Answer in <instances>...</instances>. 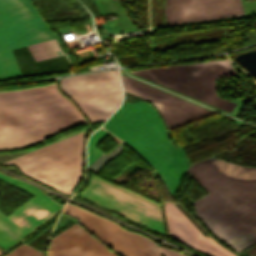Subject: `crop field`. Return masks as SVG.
Returning <instances> with one entry per match:
<instances>
[{"mask_svg":"<svg viewBox=\"0 0 256 256\" xmlns=\"http://www.w3.org/2000/svg\"><path fill=\"white\" fill-rule=\"evenodd\" d=\"M212 161L225 175L256 179V168H244L215 157ZM211 162H196L188 171L210 193L193 202L196 214L213 234L234 250L256 242V180H236L223 175Z\"/></svg>","mask_w":256,"mask_h":256,"instance_id":"8a807250","label":"crop field"},{"mask_svg":"<svg viewBox=\"0 0 256 256\" xmlns=\"http://www.w3.org/2000/svg\"><path fill=\"white\" fill-rule=\"evenodd\" d=\"M55 85L0 92V151L31 146L85 123Z\"/></svg>","mask_w":256,"mask_h":256,"instance_id":"ac0d7876","label":"crop field"},{"mask_svg":"<svg viewBox=\"0 0 256 256\" xmlns=\"http://www.w3.org/2000/svg\"><path fill=\"white\" fill-rule=\"evenodd\" d=\"M104 125L154 166L173 195L187 164L167 138L155 110L145 101L133 104L124 101Z\"/></svg>","mask_w":256,"mask_h":256,"instance_id":"34b2d1b8","label":"crop field"},{"mask_svg":"<svg viewBox=\"0 0 256 256\" xmlns=\"http://www.w3.org/2000/svg\"><path fill=\"white\" fill-rule=\"evenodd\" d=\"M84 139L81 132L2 164H12L23 174L70 194L81 177Z\"/></svg>","mask_w":256,"mask_h":256,"instance_id":"412701ff","label":"crop field"},{"mask_svg":"<svg viewBox=\"0 0 256 256\" xmlns=\"http://www.w3.org/2000/svg\"><path fill=\"white\" fill-rule=\"evenodd\" d=\"M55 40L26 0H0V52ZM21 74L14 51L0 53V76ZM17 76L0 79L18 78Z\"/></svg>","mask_w":256,"mask_h":256,"instance_id":"f4fd0767","label":"crop field"},{"mask_svg":"<svg viewBox=\"0 0 256 256\" xmlns=\"http://www.w3.org/2000/svg\"><path fill=\"white\" fill-rule=\"evenodd\" d=\"M231 66L228 60H216L130 72L230 112L235 103L218 98L214 79L236 74Z\"/></svg>","mask_w":256,"mask_h":256,"instance_id":"dd49c442","label":"crop field"},{"mask_svg":"<svg viewBox=\"0 0 256 256\" xmlns=\"http://www.w3.org/2000/svg\"><path fill=\"white\" fill-rule=\"evenodd\" d=\"M60 85L91 123L106 120L122 101L118 70L62 79Z\"/></svg>","mask_w":256,"mask_h":256,"instance_id":"e52e79f7","label":"crop field"},{"mask_svg":"<svg viewBox=\"0 0 256 256\" xmlns=\"http://www.w3.org/2000/svg\"><path fill=\"white\" fill-rule=\"evenodd\" d=\"M137 223L164 232L160 205L95 176L79 195Z\"/></svg>","mask_w":256,"mask_h":256,"instance_id":"d8731c3e","label":"crop field"},{"mask_svg":"<svg viewBox=\"0 0 256 256\" xmlns=\"http://www.w3.org/2000/svg\"><path fill=\"white\" fill-rule=\"evenodd\" d=\"M0 179L35 196L8 217L0 213V246L7 250L61 206L36 187L2 174Z\"/></svg>","mask_w":256,"mask_h":256,"instance_id":"5a996713","label":"crop field"},{"mask_svg":"<svg viewBox=\"0 0 256 256\" xmlns=\"http://www.w3.org/2000/svg\"><path fill=\"white\" fill-rule=\"evenodd\" d=\"M64 211L78 218L81 224L122 256H159L157 246L144 237L124 231L70 205H66Z\"/></svg>","mask_w":256,"mask_h":256,"instance_id":"3316defc","label":"crop field"},{"mask_svg":"<svg viewBox=\"0 0 256 256\" xmlns=\"http://www.w3.org/2000/svg\"><path fill=\"white\" fill-rule=\"evenodd\" d=\"M121 77L124 90L150 100L161 112L169 129L215 114L122 75Z\"/></svg>","mask_w":256,"mask_h":256,"instance_id":"28ad6ade","label":"crop field"},{"mask_svg":"<svg viewBox=\"0 0 256 256\" xmlns=\"http://www.w3.org/2000/svg\"><path fill=\"white\" fill-rule=\"evenodd\" d=\"M240 15V0H166V24Z\"/></svg>","mask_w":256,"mask_h":256,"instance_id":"d1516ede","label":"crop field"},{"mask_svg":"<svg viewBox=\"0 0 256 256\" xmlns=\"http://www.w3.org/2000/svg\"><path fill=\"white\" fill-rule=\"evenodd\" d=\"M164 208L171 237L208 256H235L211 238L204 237L175 205L165 203Z\"/></svg>","mask_w":256,"mask_h":256,"instance_id":"22f410ed","label":"crop field"},{"mask_svg":"<svg viewBox=\"0 0 256 256\" xmlns=\"http://www.w3.org/2000/svg\"><path fill=\"white\" fill-rule=\"evenodd\" d=\"M47 256H116L76 223L53 236Z\"/></svg>","mask_w":256,"mask_h":256,"instance_id":"cbeb9de0","label":"crop field"},{"mask_svg":"<svg viewBox=\"0 0 256 256\" xmlns=\"http://www.w3.org/2000/svg\"><path fill=\"white\" fill-rule=\"evenodd\" d=\"M107 133L104 130L96 131L89 140L88 143V169L94 172H98L102 167L110 160L114 159L119 153L124 150L123 144L120 141L119 145L115 149H111L107 154L96 149V146L101 142L102 139L106 138Z\"/></svg>","mask_w":256,"mask_h":256,"instance_id":"5142ce71","label":"crop field"},{"mask_svg":"<svg viewBox=\"0 0 256 256\" xmlns=\"http://www.w3.org/2000/svg\"><path fill=\"white\" fill-rule=\"evenodd\" d=\"M6 256H43V254L24 244H21Z\"/></svg>","mask_w":256,"mask_h":256,"instance_id":"d9b57169","label":"crop field"},{"mask_svg":"<svg viewBox=\"0 0 256 256\" xmlns=\"http://www.w3.org/2000/svg\"><path fill=\"white\" fill-rule=\"evenodd\" d=\"M161 252L165 255V256H184V255H181L177 252H174V251H171V250H168V249H164V248H161Z\"/></svg>","mask_w":256,"mask_h":256,"instance_id":"733c2abd","label":"crop field"},{"mask_svg":"<svg viewBox=\"0 0 256 256\" xmlns=\"http://www.w3.org/2000/svg\"><path fill=\"white\" fill-rule=\"evenodd\" d=\"M0 253H2V252H0ZM1 255V254H0Z\"/></svg>","mask_w":256,"mask_h":256,"instance_id":"4a817a6b","label":"crop field"}]
</instances>
